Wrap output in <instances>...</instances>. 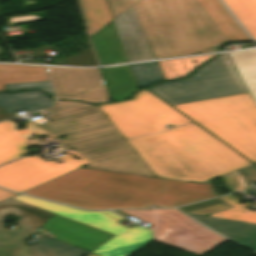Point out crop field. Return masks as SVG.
I'll return each mask as SVG.
<instances>
[{"mask_svg":"<svg viewBox=\"0 0 256 256\" xmlns=\"http://www.w3.org/2000/svg\"><path fill=\"white\" fill-rule=\"evenodd\" d=\"M6 221L0 219V256H15L19 248L34 234L18 226L13 231L4 228Z\"/></svg>","mask_w":256,"mask_h":256,"instance_id":"24","label":"crop field"},{"mask_svg":"<svg viewBox=\"0 0 256 256\" xmlns=\"http://www.w3.org/2000/svg\"><path fill=\"white\" fill-rule=\"evenodd\" d=\"M256 40V0H222Z\"/></svg>","mask_w":256,"mask_h":256,"instance_id":"23","label":"crop field"},{"mask_svg":"<svg viewBox=\"0 0 256 256\" xmlns=\"http://www.w3.org/2000/svg\"><path fill=\"white\" fill-rule=\"evenodd\" d=\"M12 199L116 235L92 252L100 256H129L153 240L202 256L227 241L175 209L122 211L153 224L128 229L119 224L126 219L111 211L86 212L24 195Z\"/></svg>","mask_w":256,"mask_h":256,"instance_id":"2","label":"crop field"},{"mask_svg":"<svg viewBox=\"0 0 256 256\" xmlns=\"http://www.w3.org/2000/svg\"><path fill=\"white\" fill-rule=\"evenodd\" d=\"M54 100L47 99L40 91H27L15 94L0 93V107L11 113L25 109L28 112L41 110L54 104Z\"/></svg>","mask_w":256,"mask_h":256,"instance_id":"19","label":"crop field"},{"mask_svg":"<svg viewBox=\"0 0 256 256\" xmlns=\"http://www.w3.org/2000/svg\"><path fill=\"white\" fill-rule=\"evenodd\" d=\"M98 106L125 139L191 122L146 89L130 101Z\"/></svg>","mask_w":256,"mask_h":256,"instance_id":"8","label":"crop field"},{"mask_svg":"<svg viewBox=\"0 0 256 256\" xmlns=\"http://www.w3.org/2000/svg\"><path fill=\"white\" fill-rule=\"evenodd\" d=\"M39 233L89 252L114 236L56 214L46 222Z\"/></svg>","mask_w":256,"mask_h":256,"instance_id":"11","label":"crop field"},{"mask_svg":"<svg viewBox=\"0 0 256 256\" xmlns=\"http://www.w3.org/2000/svg\"><path fill=\"white\" fill-rule=\"evenodd\" d=\"M221 199H223L225 202H227L233 208L227 209L224 211H220V212L211 214L209 216L256 223V212H252L245 207L247 205H250V203L241 205V204H239L240 201H238L236 198H234L231 195L221 197ZM241 211H244V212L242 213Z\"/></svg>","mask_w":256,"mask_h":256,"instance_id":"25","label":"crop field"},{"mask_svg":"<svg viewBox=\"0 0 256 256\" xmlns=\"http://www.w3.org/2000/svg\"><path fill=\"white\" fill-rule=\"evenodd\" d=\"M227 208H231V206H229L223 200L217 198L189 206L180 207L179 209L188 213L208 215Z\"/></svg>","mask_w":256,"mask_h":256,"instance_id":"28","label":"crop field"},{"mask_svg":"<svg viewBox=\"0 0 256 256\" xmlns=\"http://www.w3.org/2000/svg\"><path fill=\"white\" fill-rule=\"evenodd\" d=\"M16 195H18V194L0 189V202L7 199V198H12Z\"/></svg>","mask_w":256,"mask_h":256,"instance_id":"35","label":"crop field"},{"mask_svg":"<svg viewBox=\"0 0 256 256\" xmlns=\"http://www.w3.org/2000/svg\"><path fill=\"white\" fill-rule=\"evenodd\" d=\"M222 178H223V181H224L225 185H226L227 188L229 189L230 193H232L233 190H232V188L230 187V185H229L228 181L226 180L225 176H223Z\"/></svg>","mask_w":256,"mask_h":256,"instance_id":"37","label":"crop field"},{"mask_svg":"<svg viewBox=\"0 0 256 256\" xmlns=\"http://www.w3.org/2000/svg\"><path fill=\"white\" fill-rule=\"evenodd\" d=\"M217 55V54H216ZM215 55H210V56H203V57H195V58H191L195 67L199 66L201 63H203L204 61L208 60L209 58L213 57Z\"/></svg>","mask_w":256,"mask_h":256,"instance_id":"34","label":"crop field"},{"mask_svg":"<svg viewBox=\"0 0 256 256\" xmlns=\"http://www.w3.org/2000/svg\"><path fill=\"white\" fill-rule=\"evenodd\" d=\"M23 194L85 209L176 207L217 194L204 184L78 168Z\"/></svg>","mask_w":256,"mask_h":256,"instance_id":"1","label":"crop field"},{"mask_svg":"<svg viewBox=\"0 0 256 256\" xmlns=\"http://www.w3.org/2000/svg\"><path fill=\"white\" fill-rule=\"evenodd\" d=\"M131 66L138 85L141 87L164 80V75L156 62L138 63Z\"/></svg>","mask_w":256,"mask_h":256,"instance_id":"26","label":"crop field"},{"mask_svg":"<svg viewBox=\"0 0 256 256\" xmlns=\"http://www.w3.org/2000/svg\"><path fill=\"white\" fill-rule=\"evenodd\" d=\"M68 152V151H67ZM69 155L60 157L64 163L56 161H44L38 156L19 159L16 162L0 167V186L9 190L23 193L40 184L61 176L82 165L90 163L76 152H68ZM79 157L76 160L72 155Z\"/></svg>","mask_w":256,"mask_h":256,"instance_id":"9","label":"crop field"},{"mask_svg":"<svg viewBox=\"0 0 256 256\" xmlns=\"http://www.w3.org/2000/svg\"><path fill=\"white\" fill-rule=\"evenodd\" d=\"M127 141L158 178L204 183L251 165L194 123Z\"/></svg>","mask_w":256,"mask_h":256,"instance_id":"3","label":"crop field"},{"mask_svg":"<svg viewBox=\"0 0 256 256\" xmlns=\"http://www.w3.org/2000/svg\"><path fill=\"white\" fill-rule=\"evenodd\" d=\"M29 250L24 244L15 255L16 256H33L32 253Z\"/></svg>","mask_w":256,"mask_h":256,"instance_id":"36","label":"crop field"},{"mask_svg":"<svg viewBox=\"0 0 256 256\" xmlns=\"http://www.w3.org/2000/svg\"><path fill=\"white\" fill-rule=\"evenodd\" d=\"M101 72L113 102L128 99L138 90L130 65L103 68Z\"/></svg>","mask_w":256,"mask_h":256,"instance_id":"17","label":"crop field"},{"mask_svg":"<svg viewBox=\"0 0 256 256\" xmlns=\"http://www.w3.org/2000/svg\"><path fill=\"white\" fill-rule=\"evenodd\" d=\"M159 65H160L167 80L178 78L170 60L161 61V62H159Z\"/></svg>","mask_w":256,"mask_h":256,"instance_id":"32","label":"crop field"},{"mask_svg":"<svg viewBox=\"0 0 256 256\" xmlns=\"http://www.w3.org/2000/svg\"><path fill=\"white\" fill-rule=\"evenodd\" d=\"M171 105L247 93L228 53L202 66L189 79L149 88Z\"/></svg>","mask_w":256,"mask_h":256,"instance_id":"7","label":"crop field"},{"mask_svg":"<svg viewBox=\"0 0 256 256\" xmlns=\"http://www.w3.org/2000/svg\"><path fill=\"white\" fill-rule=\"evenodd\" d=\"M0 51H2V49L0 48Z\"/></svg>","mask_w":256,"mask_h":256,"instance_id":"39","label":"crop field"},{"mask_svg":"<svg viewBox=\"0 0 256 256\" xmlns=\"http://www.w3.org/2000/svg\"><path fill=\"white\" fill-rule=\"evenodd\" d=\"M49 81L44 66L0 64V91L5 84Z\"/></svg>","mask_w":256,"mask_h":256,"instance_id":"20","label":"crop field"},{"mask_svg":"<svg viewBox=\"0 0 256 256\" xmlns=\"http://www.w3.org/2000/svg\"><path fill=\"white\" fill-rule=\"evenodd\" d=\"M173 107L256 163V104L250 93Z\"/></svg>","mask_w":256,"mask_h":256,"instance_id":"5","label":"crop field"},{"mask_svg":"<svg viewBox=\"0 0 256 256\" xmlns=\"http://www.w3.org/2000/svg\"><path fill=\"white\" fill-rule=\"evenodd\" d=\"M28 88H35L45 91L51 98H55L54 91L50 82L42 83H30V84H18V85H6V91H21Z\"/></svg>","mask_w":256,"mask_h":256,"instance_id":"30","label":"crop field"},{"mask_svg":"<svg viewBox=\"0 0 256 256\" xmlns=\"http://www.w3.org/2000/svg\"><path fill=\"white\" fill-rule=\"evenodd\" d=\"M228 41H252L219 0H196Z\"/></svg>","mask_w":256,"mask_h":256,"instance_id":"16","label":"crop field"},{"mask_svg":"<svg viewBox=\"0 0 256 256\" xmlns=\"http://www.w3.org/2000/svg\"><path fill=\"white\" fill-rule=\"evenodd\" d=\"M89 256H97V255L91 254V255H89Z\"/></svg>","mask_w":256,"mask_h":256,"instance_id":"38","label":"crop field"},{"mask_svg":"<svg viewBox=\"0 0 256 256\" xmlns=\"http://www.w3.org/2000/svg\"><path fill=\"white\" fill-rule=\"evenodd\" d=\"M90 37L113 20L106 0H81Z\"/></svg>","mask_w":256,"mask_h":256,"instance_id":"21","label":"crop field"},{"mask_svg":"<svg viewBox=\"0 0 256 256\" xmlns=\"http://www.w3.org/2000/svg\"><path fill=\"white\" fill-rule=\"evenodd\" d=\"M190 217L212 228L229 239L256 250V224L189 214Z\"/></svg>","mask_w":256,"mask_h":256,"instance_id":"14","label":"crop field"},{"mask_svg":"<svg viewBox=\"0 0 256 256\" xmlns=\"http://www.w3.org/2000/svg\"><path fill=\"white\" fill-rule=\"evenodd\" d=\"M239 171H241L242 173H244L245 175H247L248 177H250L256 181V166L255 165L249 166V167L244 168Z\"/></svg>","mask_w":256,"mask_h":256,"instance_id":"33","label":"crop field"},{"mask_svg":"<svg viewBox=\"0 0 256 256\" xmlns=\"http://www.w3.org/2000/svg\"><path fill=\"white\" fill-rule=\"evenodd\" d=\"M9 214L21 217L16 223L33 230H37L53 215V213L12 199L0 203V218L4 219Z\"/></svg>","mask_w":256,"mask_h":256,"instance_id":"18","label":"crop field"},{"mask_svg":"<svg viewBox=\"0 0 256 256\" xmlns=\"http://www.w3.org/2000/svg\"><path fill=\"white\" fill-rule=\"evenodd\" d=\"M68 65L73 66H97L91 48H87L77 56L66 57Z\"/></svg>","mask_w":256,"mask_h":256,"instance_id":"29","label":"crop field"},{"mask_svg":"<svg viewBox=\"0 0 256 256\" xmlns=\"http://www.w3.org/2000/svg\"><path fill=\"white\" fill-rule=\"evenodd\" d=\"M59 98L86 103L108 102L110 98L99 69L47 67Z\"/></svg>","mask_w":256,"mask_h":256,"instance_id":"10","label":"crop field"},{"mask_svg":"<svg viewBox=\"0 0 256 256\" xmlns=\"http://www.w3.org/2000/svg\"><path fill=\"white\" fill-rule=\"evenodd\" d=\"M18 127V124L10 120L0 123V164L29 153L26 150L29 146L25 140L33 134H45L56 139L32 122H27L28 132L26 134L19 133L17 131Z\"/></svg>","mask_w":256,"mask_h":256,"instance_id":"13","label":"crop field"},{"mask_svg":"<svg viewBox=\"0 0 256 256\" xmlns=\"http://www.w3.org/2000/svg\"><path fill=\"white\" fill-rule=\"evenodd\" d=\"M46 111L54 121L42 129L54 136L67 134L62 142L75 150L124 139L97 105L59 101Z\"/></svg>","mask_w":256,"mask_h":256,"instance_id":"6","label":"crop field"},{"mask_svg":"<svg viewBox=\"0 0 256 256\" xmlns=\"http://www.w3.org/2000/svg\"><path fill=\"white\" fill-rule=\"evenodd\" d=\"M113 22L129 62L155 58L132 8Z\"/></svg>","mask_w":256,"mask_h":256,"instance_id":"12","label":"crop field"},{"mask_svg":"<svg viewBox=\"0 0 256 256\" xmlns=\"http://www.w3.org/2000/svg\"><path fill=\"white\" fill-rule=\"evenodd\" d=\"M226 178L229 181L234 192L243 190L244 187H246V189H247L248 187L246 185L255 182V181L251 180L250 178L243 176V174H240L238 172V170L226 175Z\"/></svg>","mask_w":256,"mask_h":256,"instance_id":"31","label":"crop field"},{"mask_svg":"<svg viewBox=\"0 0 256 256\" xmlns=\"http://www.w3.org/2000/svg\"><path fill=\"white\" fill-rule=\"evenodd\" d=\"M229 55L256 102V50L234 52Z\"/></svg>","mask_w":256,"mask_h":256,"instance_id":"22","label":"crop field"},{"mask_svg":"<svg viewBox=\"0 0 256 256\" xmlns=\"http://www.w3.org/2000/svg\"><path fill=\"white\" fill-rule=\"evenodd\" d=\"M101 65L128 62L113 22L91 37Z\"/></svg>","mask_w":256,"mask_h":256,"instance_id":"15","label":"crop field"},{"mask_svg":"<svg viewBox=\"0 0 256 256\" xmlns=\"http://www.w3.org/2000/svg\"><path fill=\"white\" fill-rule=\"evenodd\" d=\"M50 256H87L84 250L50 239L44 235L35 236Z\"/></svg>","mask_w":256,"mask_h":256,"instance_id":"27","label":"crop field"},{"mask_svg":"<svg viewBox=\"0 0 256 256\" xmlns=\"http://www.w3.org/2000/svg\"><path fill=\"white\" fill-rule=\"evenodd\" d=\"M133 8L157 58L218 51L228 42L195 0H109Z\"/></svg>","mask_w":256,"mask_h":256,"instance_id":"4","label":"crop field"}]
</instances>
